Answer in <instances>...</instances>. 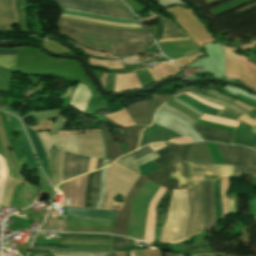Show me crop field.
<instances>
[{
  "mask_svg": "<svg viewBox=\"0 0 256 256\" xmlns=\"http://www.w3.org/2000/svg\"><path fill=\"white\" fill-rule=\"evenodd\" d=\"M60 33L96 50L112 54V49L100 45L84 42L83 37L112 44L118 57L134 54L150 44V37L146 31H123L107 29L91 24L58 21ZM117 57V58H118Z\"/></svg>",
  "mask_w": 256,
  "mask_h": 256,
  "instance_id": "8a807250",
  "label": "crop field"
},
{
  "mask_svg": "<svg viewBox=\"0 0 256 256\" xmlns=\"http://www.w3.org/2000/svg\"><path fill=\"white\" fill-rule=\"evenodd\" d=\"M192 189L187 190L190 204V216L185 238L202 231L204 225V197L202 182L217 178L232 177L234 166L198 165L186 162Z\"/></svg>",
  "mask_w": 256,
  "mask_h": 256,
  "instance_id": "ac0d7876",
  "label": "crop field"
},
{
  "mask_svg": "<svg viewBox=\"0 0 256 256\" xmlns=\"http://www.w3.org/2000/svg\"><path fill=\"white\" fill-rule=\"evenodd\" d=\"M165 144L167 147L156 152L160 158L152 160L163 167L144 177L165 188L189 189V183H179V180H173V175L185 173L186 179H189L185 159L192 144ZM174 179H180V182H189V180H185L184 174L174 176Z\"/></svg>",
  "mask_w": 256,
  "mask_h": 256,
  "instance_id": "34b2d1b8",
  "label": "crop field"
},
{
  "mask_svg": "<svg viewBox=\"0 0 256 256\" xmlns=\"http://www.w3.org/2000/svg\"><path fill=\"white\" fill-rule=\"evenodd\" d=\"M189 216L186 190H173L168 217L162 229V240L179 242L184 240L185 228Z\"/></svg>",
  "mask_w": 256,
  "mask_h": 256,
  "instance_id": "412701ff",
  "label": "crop field"
},
{
  "mask_svg": "<svg viewBox=\"0 0 256 256\" xmlns=\"http://www.w3.org/2000/svg\"><path fill=\"white\" fill-rule=\"evenodd\" d=\"M60 8L94 13L110 17L136 20L129 9L94 1V0H55Z\"/></svg>",
  "mask_w": 256,
  "mask_h": 256,
  "instance_id": "f4fd0767",
  "label": "crop field"
},
{
  "mask_svg": "<svg viewBox=\"0 0 256 256\" xmlns=\"http://www.w3.org/2000/svg\"><path fill=\"white\" fill-rule=\"evenodd\" d=\"M225 164L235 165L233 177L242 175H256V151L242 146H222L216 144Z\"/></svg>",
  "mask_w": 256,
  "mask_h": 256,
  "instance_id": "dd49c442",
  "label": "crop field"
},
{
  "mask_svg": "<svg viewBox=\"0 0 256 256\" xmlns=\"http://www.w3.org/2000/svg\"><path fill=\"white\" fill-rule=\"evenodd\" d=\"M139 177V174L119 165L118 163H114L113 171H112V190L111 192L115 193H123L126 194L128 190L131 188L133 183ZM116 194L111 193L110 203L108 209L112 210L113 206L121 205L123 203H116L113 201V197ZM122 195V194H121ZM124 199L126 195H123Z\"/></svg>",
  "mask_w": 256,
  "mask_h": 256,
  "instance_id": "e52e79f7",
  "label": "crop field"
},
{
  "mask_svg": "<svg viewBox=\"0 0 256 256\" xmlns=\"http://www.w3.org/2000/svg\"><path fill=\"white\" fill-rule=\"evenodd\" d=\"M74 136L79 154L105 159L104 147L99 132H86L74 134Z\"/></svg>",
  "mask_w": 256,
  "mask_h": 256,
  "instance_id": "d8731c3e",
  "label": "crop field"
},
{
  "mask_svg": "<svg viewBox=\"0 0 256 256\" xmlns=\"http://www.w3.org/2000/svg\"><path fill=\"white\" fill-rule=\"evenodd\" d=\"M145 180L146 179L140 176L139 179L128 192L126 199L124 201L122 212H117V216L112 231L113 234L125 236L130 215L131 202L138 193L139 189L141 188Z\"/></svg>",
  "mask_w": 256,
  "mask_h": 256,
  "instance_id": "5a996713",
  "label": "crop field"
},
{
  "mask_svg": "<svg viewBox=\"0 0 256 256\" xmlns=\"http://www.w3.org/2000/svg\"><path fill=\"white\" fill-rule=\"evenodd\" d=\"M155 123L174 130L182 137H192L193 142L201 140L197 132L192 128L160 110L156 112Z\"/></svg>",
  "mask_w": 256,
  "mask_h": 256,
  "instance_id": "3316defc",
  "label": "crop field"
},
{
  "mask_svg": "<svg viewBox=\"0 0 256 256\" xmlns=\"http://www.w3.org/2000/svg\"><path fill=\"white\" fill-rule=\"evenodd\" d=\"M90 157L75 156L65 152L63 181L87 172Z\"/></svg>",
  "mask_w": 256,
  "mask_h": 256,
  "instance_id": "28ad6ade",
  "label": "crop field"
},
{
  "mask_svg": "<svg viewBox=\"0 0 256 256\" xmlns=\"http://www.w3.org/2000/svg\"><path fill=\"white\" fill-rule=\"evenodd\" d=\"M125 109L129 112L136 125H150L153 119V111L150 100L138 101Z\"/></svg>",
  "mask_w": 256,
  "mask_h": 256,
  "instance_id": "d1516ede",
  "label": "crop field"
},
{
  "mask_svg": "<svg viewBox=\"0 0 256 256\" xmlns=\"http://www.w3.org/2000/svg\"><path fill=\"white\" fill-rule=\"evenodd\" d=\"M179 137L181 136H179L174 131L153 124L152 126L143 130L139 147H142L149 143L159 142V141H169L170 140L169 138H179Z\"/></svg>",
  "mask_w": 256,
  "mask_h": 256,
  "instance_id": "22f410ed",
  "label": "crop field"
},
{
  "mask_svg": "<svg viewBox=\"0 0 256 256\" xmlns=\"http://www.w3.org/2000/svg\"><path fill=\"white\" fill-rule=\"evenodd\" d=\"M19 25L15 0H0V29H14Z\"/></svg>",
  "mask_w": 256,
  "mask_h": 256,
  "instance_id": "cbeb9de0",
  "label": "crop field"
},
{
  "mask_svg": "<svg viewBox=\"0 0 256 256\" xmlns=\"http://www.w3.org/2000/svg\"><path fill=\"white\" fill-rule=\"evenodd\" d=\"M187 161L199 164H215L205 142L192 145Z\"/></svg>",
  "mask_w": 256,
  "mask_h": 256,
  "instance_id": "5142ce71",
  "label": "crop field"
},
{
  "mask_svg": "<svg viewBox=\"0 0 256 256\" xmlns=\"http://www.w3.org/2000/svg\"><path fill=\"white\" fill-rule=\"evenodd\" d=\"M114 221L66 217V227L112 228Z\"/></svg>",
  "mask_w": 256,
  "mask_h": 256,
  "instance_id": "d9b57169",
  "label": "crop field"
},
{
  "mask_svg": "<svg viewBox=\"0 0 256 256\" xmlns=\"http://www.w3.org/2000/svg\"><path fill=\"white\" fill-rule=\"evenodd\" d=\"M9 116H10L12 125L14 127V131L15 132L20 131L22 133L19 139L26 151L27 161H28V169L38 168L36 160L33 155V152L31 150L30 144L28 142V139L24 133V130H23L19 120L12 115H9Z\"/></svg>",
  "mask_w": 256,
  "mask_h": 256,
  "instance_id": "733c2abd",
  "label": "crop field"
},
{
  "mask_svg": "<svg viewBox=\"0 0 256 256\" xmlns=\"http://www.w3.org/2000/svg\"><path fill=\"white\" fill-rule=\"evenodd\" d=\"M0 115H1V118L3 120V123H4V127H5V131L7 133V136L9 138V141H10V144L16 154V157H17V160L19 162V169L21 170L23 165L26 164L25 162V157H24V152L18 142V140L15 138L13 141H12V138H11V133L13 131L11 125H10V122H9V119L7 117V114L4 113V112H0Z\"/></svg>",
  "mask_w": 256,
  "mask_h": 256,
  "instance_id": "4a817a6b",
  "label": "crop field"
},
{
  "mask_svg": "<svg viewBox=\"0 0 256 256\" xmlns=\"http://www.w3.org/2000/svg\"><path fill=\"white\" fill-rule=\"evenodd\" d=\"M41 229L71 231V232H105L111 233L112 229H84V228H65V220L47 219Z\"/></svg>",
  "mask_w": 256,
  "mask_h": 256,
  "instance_id": "bc2a9ffb",
  "label": "crop field"
},
{
  "mask_svg": "<svg viewBox=\"0 0 256 256\" xmlns=\"http://www.w3.org/2000/svg\"><path fill=\"white\" fill-rule=\"evenodd\" d=\"M101 134L105 146L106 158L114 160L123 155L120 145L115 144L110 132L101 130Z\"/></svg>",
  "mask_w": 256,
  "mask_h": 256,
  "instance_id": "214f88e0",
  "label": "crop field"
},
{
  "mask_svg": "<svg viewBox=\"0 0 256 256\" xmlns=\"http://www.w3.org/2000/svg\"><path fill=\"white\" fill-rule=\"evenodd\" d=\"M55 148L67 150L71 153L78 155L73 134L69 135H54L50 136Z\"/></svg>",
  "mask_w": 256,
  "mask_h": 256,
  "instance_id": "92a150f3",
  "label": "crop field"
},
{
  "mask_svg": "<svg viewBox=\"0 0 256 256\" xmlns=\"http://www.w3.org/2000/svg\"><path fill=\"white\" fill-rule=\"evenodd\" d=\"M90 96L91 94L86 86L83 84H79L69 104L81 111H84L86 103Z\"/></svg>",
  "mask_w": 256,
  "mask_h": 256,
  "instance_id": "dafd665d",
  "label": "crop field"
},
{
  "mask_svg": "<svg viewBox=\"0 0 256 256\" xmlns=\"http://www.w3.org/2000/svg\"><path fill=\"white\" fill-rule=\"evenodd\" d=\"M232 144H241L252 147L256 144V135L239 127L233 135Z\"/></svg>",
  "mask_w": 256,
  "mask_h": 256,
  "instance_id": "00972430",
  "label": "crop field"
},
{
  "mask_svg": "<svg viewBox=\"0 0 256 256\" xmlns=\"http://www.w3.org/2000/svg\"><path fill=\"white\" fill-rule=\"evenodd\" d=\"M144 128L141 126L125 127L126 147L129 152L137 148L141 130Z\"/></svg>",
  "mask_w": 256,
  "mask_h": 256,
  "instance_id": "a9b5d70f",
  "label": "crop field"
},
{
  "mask_svg": "<svg viewBox=\"0 0 256 256\" xmlns=\"http://www.w3.org/2000/svg\"><path fill=\"white\" fill-rule=\"evenodd\" d=\"M156 157H158V156L154 152H152V153H150V154H148L146 156H143V157L135 160L130 154H128V155H125V156L119 158L116 161H118V162L124 164L125 166H127V167H129V168H131V169H133V170H135L137 172H139L137 166H139V165H141V164H143V163H145V162H147L149 160H152V159H154Z\"/></svg>",
  "mask_w": 256,
  "mask_h": 256,
  "instance_id": "4177f3b9",
  "label": "crop field"
},
{
  "mask_svg": "<svg viewBox=\"0 0 256 256\" xmlns=\"http://www.w3.org/2000/svg\"><path fill=\"white\" fill-rule=\"evenodd\" d=\"M205 206H206V225H205V230H206L209 227H211L213 223L211 181L205 182Z\"/></svg>",
  "mask_w": 256,
  "mask_h": 256,
  "instance_id": "730fd06b",
  "label": "crop field"
},
{
  "mask_svg": "<svg viewBox=\"0 0 256 256\" xmlns=\"http://www.w3.org/2000/svg\"><path fill=\"white\" fill-rule=\"evenodd\" d=\"M26 128H27V131H28L29 136L31 138V141H32V143H33V145L35 147V150H36V152L38 154V157H39V159H40V161L42 163V166H43L46 174L50 178L49 170H48V164H47V158H46V154L44 152V149H43V147H42V145H41V143H40L36 133L34 131H32L31 129H29L27 126H26Z\"/></svg>",
  "mask_w": 256,
  "mask_h": 256,
  "instance_id": "eef30255",
  "label": "crop field"
},
{
  "mask_svg": "<svg viewBox=\"0 0 256 256\" xmlns=\"http://www.w3.org/2000/svg\"><path fill=\"white\" fill-rule=\"evenodd\" d=\"M213 187V208H214V224L218 222L221 217V198L219 196L220 193V185L219 179L212 181Z\"/></svg>",
  "mask_w": 256,
  "mask_h": 256,
  "instance_id": "ae1a2a85",
  "label": "crop field"
},
{
  "mask_svg": "<svg viewBox=\"0 0 256 256\" xmlns=\"http://www.w3.org/2000/svg\"><path fill=\"white\" fill-rule=\"evenodd\" d=\"M202 87V86H194V87H188V88H180L178 89L174 94L172 95H153L152 97V106H153V109L154 111L162 104L164 103L166 100L178 95V94H181V93H184V92H190V91H193V90H199V88Z\"/></svg>",
  "mask_w": 256,
  "mask_h": 256,
  "instance_id": "d3111659",
  "label": "crop field"
},
{
  "mask_svg": "<svg viewBox=\"0 0 256 256\" xmlns=\"http://www.w3.org/2000/svg\"><path fill=\"white\" fill-rule=\"evenodd\" d=\"M162 20L164 22V32L161 39L187 36L180 29H178L170 20L163 17Z\"/></svg>",
  "mask_w": 256,
  "mask_h": 256,
  "instance_id": "750c4746",
  "label": "crop field"
},
{
  "mask_svg": "<svg viewBox=\"0 0 256 256\" xmlns=\"http://www.w3.org/2000/svg\"><path fill=\"white\" fill-rule=\"evenodd\" d=\"M196 93H200V94H203V95H205V96H208V97H211V98L220 100V101H222V102H224V103H226V104H228V105H231V106H233V107H235V108H238L239 110H241V111H242L244 114H246V115L254 116V115H253L252 113H250L249 111H247V110H245V109H243V108H241V107H239V106L233 104L231 101L224 100V99H221V98L217 97V96H220V97H223V98H226V99L235 101V100H233V99H230L231 97L228 98L229 96L226 97V96H224V95H222V94L216 92V91L213 90V89L197 91ZM215 95H217V96H215ZM254 117H255V116H254ZM255 118H256V117H255Z\"/></svg>",
  "mask_w": 256,
  "mask_h": 256,
  "instance_id": "bd1437ed",
  "label": "crop field"
},
{
  "mask_svg": "<svg viewBox=\"0 0 256 256\" xmlns=\"http://www.w3.org/2000/svg\"><path fill=\"white\" fill-rule=\"evenodd\" d=\"M177 97H179L183 101L187 102L188 104L194 106L195 108H197L198 110H200L203 113L216 116L217 113L219 112V110L207 107V106L203 105L202 103L194 100L193 98H191L185 94L179 95Z\"/></svg>",
  "mask_w": 256,
  "mask_h": 256,
  "instance_id": "1d83c4d3",
  "label": "crop field"
},
{
  "mask_svg": "<svg viewBox=\"0 0 256 256\" xmlns=\"http://www.w3.org/2000/svg\"><path fill=\"white\" fill-rule=\"evenodd\" d=\"M61 14H65V15H76V16H84V17H88V18L99 19V20H105V21H111V22H118V23L139 24L138 22H134V21H127V20H121V19H115V18H109V17H102V16H96V15H90V14L79 13V12H74V11H69V10H63V9H61ZM139 25H140V24H139Z\"/></svg>",
  "mask_w": 256,
  "mask_h": 256,
  "instance_id": "120bbe31",
  "label": "crop field"
},
{
  "mask_svg": "<svg viewBox=\"0 0 256 256\" xmlns=\"http://www.w3.org/2000/svg\"><path fill=\"white\" fill-rule=\"evenodd\" d=\"M18 50H0V54H17ZM16 55H0V66L14 70Z\"/></svg>",
  "mask_w": 256,
  "mask_h": 256,
  "instance_id": "d32e631a",
  "label": "crop field"
},
{
  "mask_svg": "<svg viewBox=\"0 0 256 256\" xmlns=\"http://www.w3.org/2000/svg\"><path fill=\"white\" fill-rule=\"evenodd\" d=\"M193 94H194V93H193ZM195 95H197V94H195ZM197 96H199V95H197ZM199 97H201V98H203V99H205V100H207V101H210V102H213V103H216V104H219V105H222V106L227 107V108H225V109H223V110H221V111L219 112V114L217 115L218 117H223V118H228V119L236 120L240 115H242L240 112H238V111H237L236 109H234V108H230V107H228V106H226V105H224V104H221V103H219V102H216V101H213V100L204 98V97H202V96H199Z\"/></svg>",
  "mask_w": 256,
  "mask_h": 256,
  "instance_id": "5866460e",
  "label": "crop field"
},
{
  "mask_svg": "<svg viewBox=\"0 0 256 256\" xmlns=\"http://www.w3.org/2000/svg\"><path fill=\"white\" fill-rule=\"evenodd\" d=\"M61 111L62 110L55 107L54 109H52L50 111L45 110V111H40V112H30L27 115L22 116L20 118L23 119V118L31 115V116L35 117L36 119H38L39 121H41V120L57 117Z\"/></svg>",
  "mask_w": 256,
  "mask_h": 256,
  "instance_id": "028f5c9d",
  "label": "crop field"
},
{
  "mask_svg": "<svg viewBox=\"0 0 256 256\" xmlns=\"http://www.w3.org/2000/svg\"><path fill=\"white\" fill-rule=\"evenodd\" d=\"M33 249L43 250V249H58V250H70V251H89V252H109L110 249L103 248H58L56 246H45V245H34Z\"/></svg>",
  "mask_w": 256,
  "mask_h": 256,
  "instance_id": "e1f06a70",
  "label": "crop field"
},
{
  "mask_svg": "<svg viewBox=\"0 0 256 256\" xmlns=\"http://www.w3.org/2000/svg\"><path fill=\"white\" fill-rule=\"evenodd\" d=\"M74 234V233H67ZM60 234V238H75V239H110V235L107 234H77L75 235H67Z\"/></svg>",
  "mask_w": 256,
  "mask_h": 256,
  "instance_id": "0bd39190",
  "label": "crop field"
},
{
  "mask_svg": "<svg viewBox=\"0 0 256 256\" xmlns=\"http://www.w3.org/2000/svg\"><path fill=\"white\" fill-rule=\"evenodd\" d=\"M194 129L198 132H202V133H206V134H210V135H215V136H220V137H224V138H232V133H228V132H224L221 130H216V129H211V128H206V127H202V126H197L194 125Z\"/></svg>",
  "mask_w": 256,
  "mask_h": 256,
  "instance_id": "b80d0937",
  "label": "crop field"
},
{
  "mask_svg": "<svg viewBox=\"0 0 256 256\" xmlns=\"http://www.w3.org/2000/svg\"><path fill=\"white\" fill-rule=\"evenodd\" d=\"M160 110L183 120L185 123H187L191 127H193V125H194V122L191 119H189L186 115L180 113L179 111H177L169 106L165 105L162 108H160Z\"/></svg>",
  "mask_w": 256,
  "mask_h": 256,
  "instance_id": "c035e120",
  "label": "crop field"
},
{
  "mask_svg": "<svg viewBox=\"0 0 256 256\" xmlns=\"http://www.w3.org/2000/svg\"><path fill=\"white\" fill-rule=\"evenodd\" d=\"M39 139L41 140L43 146H44V149L46 151V154H47V158H48V163H49V167H50V156H49V151L48 149L50 148H53V144L51 142V139L48 135V132L47 131H44V132H36Z\"/></svg>",
  "mask_w": 256,
  "mask_h": 256,
  "instance_id": "c21b1889",
  "label": "crop field"
},
{
  "mask_svg": "<svg viewBox=\"0 0 256 256\" xmlns=\"http://www.w3.org/2000/svg\"><path fill=\"white\" fill-rule=\"evenodd\" d=\"M106 175H107V167L102 169L100 194H99V199H98V203H97V207H96L98 209L101 208L102 203L104 201L105 188H106Z\"/></svg>",
  "mask_w": 256,
  "mask_h": 256,
  "instance_id": "03da06ac",
  "label": "crop field"
},
{
  "mask_svg": "<svg viewBox=\"0 0 256 256\" xmlns=\"http://www.w3.org/2000/svg\"><path fill=\"white\" fill-rule=\"evenodd\" d=\"M227 186H228V179L221 180V197H222L223 215L229 213V201H228V198L224 196V192Z\"/></svg>",
  "mask_w": 256,
  "mask_h": 256,
  "instance_id": "b54c1fbb",
  "label": "crop field"
},
{
  "mask_svg": "<svg viewBox=\"0 0 256 256\" xmlns=\"http://www.w3.org/2000/svg\"><path fill=\"white\" fill-rule=\"evenodd\" d=\"M51 181L54 184V187L57 185L56 181V173H57V162H56V155H57V149H51Z\"/></svg>",
  "mask_w": 256,
  "mask_h": 256,
  "instance_id": "5d738f31",
  "label": "crop field"
},
{
  "mask_svg": "<svg viewBox=\"0 0 256 256\" xmlns=\"http://www.w3.org/2000/svg\"><path fill=\"white\" fill-rule=\"evenodd\" d=\"M93 177H94V172L90 173L88 176L87 187L85 192V205H84V207L86 208H88L89 206L90 198L93 191Z\"/></svg>",
  "mask_w": 256,
  "mask_h": 256,
  "instance_id": "d23c7cc5",
  "label": "crop field"
},
{
  "mask_svg": "<svg viewBox=\"0 0 256 256\" xmlns=\"http://www.w3.org/2000/svg\"><path fill=\"white\" fill-rule=\"evenodd\" d=\"M100 171H101V169L96 171L94 192H93V197H92L90 208H95L96 207V203H97V199H98V194H99Z\"/></svg>",
  "mask_w": 256,
  "mask_h": 256,
  "instance_id": "425ffa30",
  "label": "crop field"
},
{
  "mask_svg": "<svg viewBox=\"0 0 256 256\" xmlns=\"http://www.w3.org/2000/svg\"><path fill=\"white\" fill-rule=\"evenodd\" d=\"M197 125H202V126H208V127H213V128H217V129H221V130H225V131H230L233 132L234 131V127H228V126H223V125H219V124H215V123H211L208 121H204L199 119L196 122Z\"/></svg>",
  "mask_w": 256,
  "mask_h": 256,
  "instance_id": "25e5ab78",
  "label": "crop field"
},
{
  "mask_svg": "<svg viewBox=\"0 0 256 256\" xmlns=\"http://www.w3.org/2000/svg\"><path fill=\"white\" fill-rule=\"evenodd\" d=\"M66 122V119H64L63 117H61L60 115L56 118L55 122L53 123L49 134L50 135H54V134H59L62 126L64 125V123Z\"/></svg>",
  "mask_w": 256,
  "mask_h": 256,
  "instance_id": "73cf0c24",
  "label": "crop field"
},
{
  "mask_svg": "<svg viewBox=\"0 0 256 256\" xmlns=\"http://www.w3.org/2000/svg\"><path fill=\"white\" fill-rule=\"evenodd\" d=\"M63 243H93V244H110V240H57Z\"/></svg>",
  "mask_w": 256,
  "mask_h": 256,
  "instance_id": "89e229c0",
  "label": "crop field"
},
{
  "mask_svg": "<svg viewBox=\"0 0 256 256\" xmlns=\"http://www.w3.org/2000/svg\"><path fill=\"white\" fill-rule=\"evenodd\" d=\"M125 245V238L112 235L111 256H115V248Z\"/></svg>",
  "mask_w": 256,
  "mask_h": 256,
  "instance_id": "1f2cbd36",
  "label": "crop field"
},
{
  "mask_svg": "<svg viewBox=\"0 0 256 256\" xmlns=\"http://www.w3.org/2000/svg\"><path fill=\"white\" fill-rule=\"evenodd\" d=\"M199 135L201 136V138L203 140L222 142V143H226V144H230V142H231V140H229V139L219 138V137L210 136V135H206V134H202V133H199Z\"/></svg>",
  "mask_w": 256,
  "mask_h": 256,
  "instance_id": "dbb93151",
  "label": "crop field"
},
{
  "mask_svg": "<svg viewBox=\"0 0 256 256\" xmlns=\"http://www.w3.org/2000/svg\"><path fill=\"white\" fill-rule=\"evenodd\" d=\"M112 166H109V171H108V179H107V188H106V200L103 205L102 209H107L108 203H109V195H110V181H111V171H112Z\"/></svg>",
  "mask_w": 256,
  "mask_h": 256,
  "instance_id": "0fb4a251",
  "label": "crop field"
},
{
  "mask_svg": "<svg viewBox=\"0 0 256 256\" xmlns=\"http://www.w3.org/2000/svg\"><path fill=\"white\" fill-rule=\"evenodd\" d=\"M158 167H160V166H158L155 163L149 161V162L139 166V169H140V171H141V173L143 175V174H145V173H147L149 171H152V170H154V169H156Z\"/></svg>",
  "mask_w": 256,
  "mask_h": 256,
  "instance_id": "1d79db26",
  "label": "crop field"
},
{
  "mask_svg": "<svg viewBox=\"0 0 256 256\" xmlns=\"http://www.w3.org/2000/svg\"><path fill=\"white\" fill-rule=\"evenodd\" d=\"M64 151L59 149L58 153V184L62 182V166H63Z\"/></svg>",
  "mask_w": 256,
  "mask_h": 256,
  "instance_id": "9d1cf04e",
  "label": "crop field"
},
{
  "mask_svg": "<svg viewBox=\"0 0 256 256\" xmlns=\"http://www.w3.org/2000/svg\"><path fill=\"white\" fill-rule=\"evenodd\" d=\"M152 152V150L150 149V147L147 145V146H144L132 153H130L135 159L143 156V155H146L148 153Z\"/></svg>",
  "mask_w": 256,
  "mask_h": 256,
  "instance_id": "447ae74e",
  "label": "crop field"
},
{
  "mask_svg": "<svg viewBox=\"0 0 256 256\" xmlns=\"http://www.w3.org/2000/svg\"><path fill=\"white\" fill-rule=\"evenodd\" d=\"M61 16L70 17V18H76V19H82V20L95 21V22H99V23H103V24H108V25L129 26V27H142V26H138V25H128V24L110 23V22H104V21H99V20L86 19V18H78V17L65 16V15H61Z\"/></svg>",
  "mask_w": 256,
  "mask_h": 256,
  "instance_id": "0765c3eb",
  "label": "crop field"
},
{
  "mask_svg": "<svg viewBox=\"0 0 256 256\" xmlns=\"http://www.w3.org/2000/svg\"><path fill=\"white\" fill-rule=\"evenodd\" d=\"M110 70L113 72L124 71L122 62L110 61Z\"/></svg>",
  "mask_w": 256,
  "mask_h": 256,
  "instance_id": "db79e9e6",
  "label": "crop field"
},
{
  "mask_svg": "<svg viewBox=\"0 0 256 256\" xmlns=\"http://www.w3.org/2000/svg\"><path fill=\"white\" fill-rule=\"evenodd\" d=\"M90 63H91V65H94V66H104V67L109 69V61L94 60V59L90 58Z\"/></svg>",
  "mask_w": 256,
  "mask_h": 256,
  "instance_id": "7b73153f",
  "label": "crop field"
},
{
  "mask_svg": "<svg viewBox=\"0 0 256 256\" xmlns=\"http://www.w3.org/2000/svg\"><path fill=\"white\" fill-rule=\"evenodd\" d=\"M162 225H163V222H157L156 223V226H155V229H154V241L159 240Z\"/></svg>",
  "mask_w": 256,
  "mask_h": 256,
  "instance_id": "78b8030e",
  "label": "crop field"
},
{
  "mask_svg": "<svg viewBox=\"0 0 256 256\" xmlns=\"http://www.w3.org/2000/svg\"><path fill=\"white\" fill-rule=\"evenodd\" d=\"M52 252H59V251H52ZM70 254H85V255H109V253H88V252H64Z\"/></svg>",
  "mask_w": 256,
  "mask_h": 256,
  "instance_id": "0f1d7ab4",
  "label": "crop field"
},
{
  "mask_svg": "<svg viewBox=\"0 0 256 256\" xmlns=\"http://www.w3.org/2000/svg\"><path fill=\"white\" fill-rule=\"evenodd\" d=\"M173 100H175V101H177V102H179V103L185 105L186 107H188L189 109H191L192 111H194L195 113H197V114L200 115V116L203 114V113L197 111L196 109H194V108L191 107L190 105L184 103L183 101H181V100H179V99H177V98H174Z\"/></svg>",
  "mask_w": 256,
  "mask_h": 256,
  "instance_id": "e1d0b9f6",
  "label": "crop field"
},
{
  "mask_svg": "<svg viewBox=\"0 0 256 256\" xmlns=\"http://www.w3.org/2000/svg\"><path fill=\"white\" fill-rule=\"evenodd\" d=\"M151 147V149L153 151H157L163 147H165L164 143H156V144H152V145H149Z\"/></svg>",
  "mask_w": 256,
  "mask_h": 256,
  "instance_id": "ae633e8c",
  "label": "crop field"
},
{
  "mask_svg": "<svg viewBox=\"0 0 256 256\" xmlns=\"http://www.w3.org/2000/svg\"><path fill=\"white\" fill-rule=\"evenodd\" d=\"M85 41H87V42H92V43H96V44H100V45H104V46H107V47H111V48H112V46L109 45V44H105V43H101V42H96V41H91V40H86V39H85Z\"/></svg>",
  "mask_w": 256,
  "mask_h": 256,
  "instance_id": "d14b1444",
  "label": "crop field"
},
{
  "mask_svg": "<svg viewBox=\"0 0 256 256\" xmlns=\"http://www.w3.org/2000/svg\"><path fill=\"white\" fill-rule=\"evenodd\" d=\"M188 38H179V39H166V40H160L159 42H167V41H177V40H185Z\"/></svg>",
  "mask_w": 256,
  "mask_h": 256,
  "instance_id": "c39391a2",
  "label": "crop field"
},
{
  "mask_svg": "<svg viewBox=\"0 0 256 256\" xmlns=\"http://www.w3.org/2000/svg\"><path fill=\"white\" fill-rule=\"evenodd\" d=\"M134 253H135V256H144L143 250H136L134 251Z\"/></svg>",
  "mask_w": 256,
  "mask_h": 256,
  "instance_id": "ade564c9",
  "label": "crop field"
},
{
  "mask_svg": "<svg viewBox=\"0 0 256 256\" xmlns=\"http://www.w3.org/2000/svg\"><path fill=\"white\" fill-rule=\"evenodd\" d=\"M53 255H55V256H85V255H67V254H57V253H53Z\"/></svg>",
  "mask_w": 256,
  "mask_h": 256,
  "instance_id": "c5b07064",
  "label": "crop field"
},
{
  "mask_svg": "<svg viewBox=\"0 0 256 256\" xmlns=\"http://www.w3.org/2000/svg\"><path fill=\"white\" fill-rule=\"evenodd\" d=\"M5 108L8 109V110H10V111L13 112L14 114L18 115L17 112H16L14 109H12L11 107H9V106L6 105V104H5Z\"/></svg>",
  "mask_w": 256,
  "mask_h": 256,
  "instance_id": "c3a83c6f",
  "label": "crop field"
},
{
  "mask_svg": "<svg viewBox=\"0 0 256 256\" xmlns=\"http://www.w3.org/2000/svg\"><path fill=\"white\" fill-rule=\"evenodd\" d=\"M101 161H102V160L98 159L96 170L101 168Z\"/></svg>",
  "mask_w": 256,
  "mask_h": 256,
  "instance_id": "fb207236",
  "label": "crop field"
},
{
  "mask_svg": "<svg viewBox=\"0 0 256 256\" xmlns=\"http://www.w3.org/2000/svg\"><path fill=\"white\" fill-rule=\"evenodd\" d=\"M107 162H108V160H103L102 168L107 166Z\"/></svg>",
  "mask_w": 256,
  "mask_h": 256,
  "instance_id": "7312dd0a",
  "label": "crop field"
},
{
  "mask_svg": "<svg viewBox=\"0 0 256 256\" xmlns=\"http://www.w3.org/2000/svg\"><path fill=\"white\" fill-rule=\"evenodd\" d=\"M111 1H114V2H118V3H121L119 0H111ZM123 4V3H122Z\"/></svg>",
  "mask_w": 256,
  "mask_h": 256,
  "instance_id": "180be81f",
  "label": "crop field"
}]
</instances>
